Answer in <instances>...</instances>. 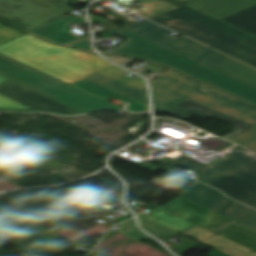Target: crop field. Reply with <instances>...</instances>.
<instances>
[{"instance_id":"00972430","label":"crop field","mask_w":256,"mask_h":256,"mask_svg":"<svg viewBox=\"0 0 256 256\" xmlns=\"http://www.w3.org/2000/svg\"><path fill=\"white\" fill-rule=\"evenodd\" d=\"M219 235L256 252V241H254V240H251V239H249L245 236H242L238 233H235L229 229L223 231Z\"/></svg>"},{"instance_id":"4177f3b9","label":"crop field","mask_w":256,"mask_h":256,"mask_svg":"<svg viewBox=\"0 0 256 256\" xmlns=\"http://www.w3.org/2000/svg\"><path fill=\"white\" fill-rule=\"evenodd\" d=\"M229 157L256 167V154L252 153L244 148L228 155Z\"/></svg>"},{"instance_id":"28ad6ade","label":"crop field","mask_w":256,"mask_h":256,"mask_svg":"<svg viewBox=\"0 0 256 256\" xmlns=\"http://www.w3.org/2000/svg\"><path fill=\"white\" fill-rule=\"evenodd\" d=\"M217 234L235 222L182 197L160 207Z\"/></svg>"},{"instance_id":"34b2d1b8","label":"crop field","mask_w":256,"mask_h":256,"mask_svg":"<svg viewBox=\"0 0 256 256\" xmlns=\"http://www.w3.org/2000/svg\"><path fill=\"white\" fill-rule=\"evenodd\" d=\"M0 52L69 84L111 64L97 55L52 44L29 34L0 46Z\"/></svg>"},{"instance_id":"1d83c4d3","label":"crop field","mask_w":256,"mask_h":256,"mask_svg":"<svg viewBox=\"0 0 256 256\" xmlns=\"http://www.w3.org/2000/svg\"><path fill=\"white\" fill-rule=\"evenodd\" d=\"M144 1L154 5L156 7H158L160 9L164 10V11L176 8V7L170 5V4H168V3H166V2H164L162 0H144Z\"/></svg>"},{"instance_id":"8a807250","label":"crop field","mask_w":256,"mask_h":256,"mask_svg":"<svg viewBox=\"0 0 256 256\" xmlns=\"http://www.w3.org/2000/svg\"><path fill=\"white\" fill-rule=\"evenodd\" d=\"M155 109L168 111L185 99L215 109L256 126V108L167 68L156 80H150ZM229 141L256 152V127Z\"/></svg>"},{"instance_id":"5866460e","label":"crop field","mask_w":256,"mask_h":256,"mask_svg":"<svg viewBox=\"0 0 256 256\" xmlns=\"http://www.w3.org/2000/svg\"><path fill=\"white\" fill-rule=\"evenodd\" d=\"M114 1L117 2V3H119V4H121V5H123V6H125V7H127V8H129L130 10L136 8V7H130V6H128V5H126V4L122 3V2H121V3L118 2V1H116V0H114Z\"/></svg>"},{"instance_id":"e52e79f7","label":"crop field","mask_w":256,"mask_h":256,"mask_svg":"<svg viewBox=\"0 0 256 256\" xmlns=\"http://www.w3.org/2000/svg\"><path fill=\"white\" fill-rule=\"evenodd\" d=\"M74 10L55 0H0V21L28 32Z\"/></svg>"},{"instance_id":"92a150f3","label":"crop field","mask_w":256,"mask_h":256,"mask_svg":"<svg viewBox=\"0 0 256 256\" xmlns=\"http://www.w3.org/2000/svg\"><path fill=\"white\" fill-rule=\"evenodd\" d=\"M102 74H105L107 76H110L114 79H117L121 82H124L128 85H131L133 87H136L140 90H142L144 88V81L143 79H141L139 76L136 78L133 77H129L126 76L127 74H129L130 72L122 70L114 65H109L103 69H101L100 71H98Z\"/></svg>"},{"instance_id":"dd49c442","label":"crop field","mask_w":256,"mask_h":256,"mask_svg":"<svg viewBox=\"0 0 256 256\" xmlns=\"http://www.w3.org/2000/svg\"><path fill=\"white\" fill-rule=\"evenodd\" d=\"M125 27L256 87V70L232 58L212 51L184 37L175 41L168 36L173 32L148 20Z\"/></svg>"},{"instance_id":"3316defc","label":"crop field","mask_w":256,"mask_h":256,"mask_svg":"<svg viewBox=\"0 0 256 256\" xmlns=\"http://www.w3.org/2000/svg\"><path fill=\"white\" fill-rule=\"evenodd\" d=\"M181 196L236 222L254 211L200 182L187 188Z\"/></svg>"},{"instance_id":"730fd06b","label":"crop field","mask_w":256,"mask_h":256,"mask_svg":"<svg viewBox=\"0 0 256 256\" xmlns=\"http://www.w3.org/2000/svg\"><path fill=\"white\" fill-rule=\"evenodd\" d=\"M25 33L17 32L15 30H12L2 24H0V45L11 41Z\"/></svg>"},{"instance_id":"d9b57169","label":"crop field","mask_w":256,"mask_h":256,"mask_svg":"<svg viewBox=\"0 0 256 256\" xmlns=\"http://www.w3.org/2000/svg\"><path fill=\"white\" fill-rule=\"evenodd\" d=\"M87 78L148 105L146 89L143 91H140L136 88L128 86L124 83H121L105 75H102L98 72L88 76Z\"/></svg>"},{"instance_id":"412701ff","label":"crop field","mask_w":256,"mask_h":256,"mask_svg":"<svg viewBox=\"0 0 256 256\" xmlns=\"http://www.w3.org/2000/svg\"><path fill=\"white\" fill-rule=\"evenodd\" d=\"M256 67V38L191 8L149 18Z\"/></svg>"},{"instance_id":"eef30255","label":"crop field","mask_w":256,"mask_h":256,"mask_svg":"<svg viewBox=\"0 0 256 256\" xmlns=\"http://www.w3.org/2000/svg\"><path fill=\"white\" fill-rule=\"evenodd\" d=\"M182 234H184V235L192 234V238L199 240V241H203V240L215 235V234H213L207 230H204L198 226H196Z\"/></svg>"},{"instance_id":"a9b5d70f","label":"crop field","mask_w":256,"mask_h":256,"mask_svg":"<svg viewBox=\"0 0 256 256\" xmlns=\"http://www.w3.org/2000/svg\"><path fill=\"white\" fill-rule=\"evenodd\" d=\"M121 225H122V229L120 230V232H122L136 240L149 238V236H147L146 234L142 233L141 231H139L137 229L134 219L124 222Z\"/></svg>"},{"instance_id":"d1516ede","label":"crop field","mask_w":256,"mask_h":256,"mask_svg":"<svg viewBox=\"0 0 256 256\" xmlns=\"http://www.w3.org/2000/svg\"><path fill=\"white\" fill-rule=\"evenodd\" d=\"M167 114L177 116V117H181V118H184V119H187V118L192 117L194 115H197V116L202 117V118L210 115V116H213V117H215L217 119H220L224 122H227V123L233 125V132L224 136V137H222L226 140H228V139H230V138H232V137H234V136H236V135H238V134H240V133H242V132H244V131L252 128V127H254V126H252L248 123L240 122V121H238V120H236L232 117L224 115V114H222L220 112H217L215 110L209 109V108L204 107L202 105H199L197 103L191 102L189 100L183 102L180 105L179 109L174 108V109L168 111Z\"/></svg>"},{"instance_id":"733c2abd","label":"crop field","mask_w":256,"mask_h":256,"mask_svg":"<svg viewBox=\"0 0 256 256\" xmlns=\"http://www.w3.org/2000/svg\"><path fill=\"white\" fill-rule=\"evenodd\" d=\"M222 20L256 36V5Z\"/></svg>"},{"instance_id":"0bd39190","label":"crop field","mask_w":256,"mask_h":256,"mask_svg":"<svg viewBox=\"0 0 256 256\" xmlns=\"http://www.w3.org/2000/svg\"><path fill=\"white\" fill-rule=\"evenodd\" d=\"M183 1H185V2H186L187 0H183ZM187 2H188V1H187Z\"/></svg>"},{"instance_id":"e1f06a70","label":"crop field","mask_w":256,"mask_h":256,"mask_svg":"<svg viewBox=\"0 0 256 256\" xmlns=\"http://www.w3.org/2000/svg\"><path fill=\"white\" fill-rule=\"evenodd\" d=\"M60 1H63V2H65V3H67V0H60Z\"/></svg>"},{"instance_id":"5a996713","label":"crop field","mask_w":256,"mask_h":256,"mask_svg":"<svg viewBox=\"0 0 256 256\" xmlns=\"http://www.w3.org/2000/svg\"><path fill=\"white\" fill-rule=\"evenodd\" d=\"M0 111H48L65 115L81 113L11 80L0 84Z\"/></svg>"},{"instance_id":"5142ce71","label":"crop field","mask_w":256,"mask_h":256,"mask_svg":"<svg viewBox=\"0 0 256 256\" xmlns=\"http://www.w3.org/2000/svg\"><path fill=\"white\" fill-rule=\"evenodd\" d=\"M77 88H80L86 92H89L93 95H96L102 99L113 95L119 99H122L126 102H129V106L127 107L128 110L133 111V112H142L148 110V106L140 103L136 100H133L125 95H122L116 91H113L105 86H102L96 82H93L87 78L81 79L73 84H71Z\"/></svg>"},{"instance_id":"f4fd0767","label":"crop field","mask_w":256,"mask_h":256,"mask_svg":"<svg viewBox=\"0 0 256 256\" xmlns=\"http://www.w3.org/2000/svg\"><path fill=\"white\" fill-rule=\"evenodd\" d=\"M0 75L81 112L122 108L0 53Z\"/></svg>"},{"instance_id":"cbeb9de0","label":"crop field","mask_w":256,"mask_h":256,"mask_svg":"<svg viewBox=\"0 0 256 256\" xmlns=\"http://www.w3.org/2000/svg\"><path fill=\"white\" fill-rule=\"evenodd\" d=\"M256 3V0H190L189 6L221 19Z\"/></svg>"},{"instance_id":"120bbe31","label":"crop field","mask_w":256,"mask_h":256,"mask_svg":"<svg viewBox=\"0 0 256 256\" xmlns=\"http://www.w3.org/2000/svg\"><path fill=\"white\" fill-rule=\"evenodd\" d=\"M240 223L256 231V212Z\"/></svg>"},{"instance_id":"4a817a6b","label":"crop field","mask_w":256,"mask_h":256,"mask_svg":"<svg viewBox=\"0 0 256 256\" xmlns=\"http://www.w3.org/2000/svg\"><path fill=\"white\" fill-rule=\"evenodd\" d=\"M163 224H166L180 232L196 225L190 221L180 218L174 214L164 211L160 208H155L151 210V215L149 216Z\"/></svg>"},{"instance_id":"028f5c9d","label":"crop field","mask_w":256,"mask_h":256,"mask_svg":"<svg viewBox=\"0 0 256 256\" xmlns=\"http://www.w3.org/2000/svg\"><path fill=\"white\" fill-rule=\"evenodd\" d=\"M6 80H7V79H5V78H3V77L0 76V83L4 82V81H6Z\"/></svg>"},{"instance_id":"214f88e0","label":"crop field","mask_w":256,"mask_h":256,"mask_svg":"<svg viewBox=\"0 0 256 256\" xmlns=\"http://www.w3.org/2000/svg\"><path fill=\"white\" fill-rule=\"evenodd\" d=\"M205 243L210 244L216 248H218L217 245L225 248V250H222L220 248H218V249L230 256H256V253L250 254L249 253L250 250H248L240 245H239V247H235L238 244L233 243L219 235L211 238L210 240L206 241Z\"/></svg>"},{"instance_id":"ac0d7876","label":"crop field","mask_w":256,"mask_h":256,"mask_svg":"<svg viewBox=\"0 0 256 256\" xmlns=\"http://www.w3.org/2000/svg\"><path fill=\"white\" fill-rule=\"evenodd\" d=\"M111 32L128 40L108 54L172 67L256 106V88L124 27Z\"/></svg>"},{"instance_id":"bc2a9ffb","label":"crop field","mask_w":256,"mask_h":256,"mask_svg":"<svg viewBox=\"0 0 256 256\" xmlns=\"http://www.w3.org/2000/svg\"><path fill=\"white\" fill-rule=\"evenodd\" d=\"M187 159L181 157L177 161H175L173 164H171L168 168L173 169L177 166H180V167L195 170L194 172L200 173L201 178L199 179V181L204 182L206 184L210 183L215 178L220 176V173H218L214 170H211L209 168H206L202 165H199L195 162H192L190 160H187Z\"/></svg>"},{"instance_id":"d8731c3e","label":"crop field","mask_w":256,"mask_h":256,"mask_svg":"<svg viewBox=\"0 0 256 256\" xmlns=\"http://www.w3.org/2000/svg\"><path fill=\"white\" fill-rule=\"evenodd\" d=\"M222 175L209 185L256 208V168L228 158L212 167Z\"/></svg>"},{"instance_id":"d3111659","label":"crop field","mask_w":256,"mask_h":256,"mask_svg":"<svg viewBox=\"0 0 256 256\" xmlns=\"http://www.w3.org/2000/svg\"><path fill=\"white\" fill-rule=\"evenodd\" d=\"M138 1L142 2V4L147 7L146 9L137 12L138 14H140L141 16H143L145 18L164 13V11H162V10H160L142 0H138Z\"/></svg>"},{"instance_id":"bd1437ed","label":"crop field","mask_w":256,"mask_h":256,"mask_svg":"<svg viewBox=\"0 0 256 256\" xmlns=\"http://www.w3.org/2000/svg\"><path fill=\"white\" fill-rule=\"evenodd\" d=\"M68 46H71V47H74V48H78V49H81V50H85V51H89V52H93L94 51L92 50L91 48V39H85L81 42H78V43H75V44H72V45H68Z\"/></svg>"},{"instance_id":"ae1a2a85","label":"crop field","mask_w":256,"mask_h":256,"mask_svg":"<svg viewBox=\"0 0 256 256\" xmlns=\"http://www.w3.org/2000/svg\"><path fill=\"white\" fill-rule=\"evenodd\" d=\"M0 228L18 236V237L29 234V232H27L19 227H16L8 222H5L1 219H0Z\"/></svg>"},{"instance_id":"22f410ed","label":"crop field","mask_w":256,"mask_h":256,"mask_svg":"<svg viewBox=\"0 0 256 256\" xmlns=\"http://www.w3.org/2000/svg\"><path fill=\"white\" fill-rule=\"evenodd\" d=\"M82 24L86 22L85 18L75 19L67 16H63L56 19L41 28L32 30L28 33L36 34L42 38H45L51 42L58 43L61 45L68 44L79 39L81 37L73 34L68 29L69 23Z\"/></svg>"},{"instance_id":"750c4746","label":"crop field","mask_w":256,"mask_h":256,"mask_svg":"<svg viewBox=\"0 0 256 256\" xmlns=\"http://www.w3.org/2000/svg\"><path fill=\"white\" fill-rule=\"evenodd\" d=\"M229 229H231V230H233L235 232H238V233H240L242 235H245V236H247V237H249L251 239L256 240V232L252 231V230H250L248 228H245V227H243L241 225H234V226L230 227Z\"/></svg>"},{"instance_id":"dafd665d","label":"crop field","mask_w":256,"mask_h":256,"mask_svg":"<svg viewBox=\"0 0 256 256\" xmlns=\"http://www.w3.org/2000/svg\"><path fill=\"white\" fill-rule=\"evenodd\" d=\"M142 228L155 237L177 233L176 231L162 226L140 214H138Z\"/></svg>"},{"instance_id":"d32e631a","label":"crop field","mask_w":256,"mask_h":256,"mask_svg":"<svg viewBox=\"0 0 256 256\" xmlns=\"http://www.w3.org/2000/svg\"><path fill=\"white\" fill-rule=\"evenodd\" d=\"M208 256H228L222 252L219 251H213L212 253H210Z\"/></svg>"}]
</instances>
